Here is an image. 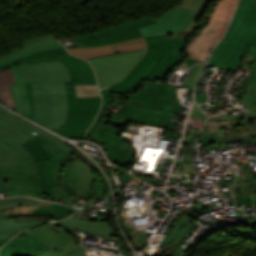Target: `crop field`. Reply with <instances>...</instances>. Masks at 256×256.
Wrapping results in <instances>:
<instances>
[{
    "label": "crop field",
    "instance_id": "crop-field-1",
    "mask_svg": "<svg viewBox=\"0 0 256 256\" xmlns=\"http://www.w3.org/2000/svg\"><path fill=\"white\" fill-rule=\"evenodd\" d=\"M30 66L36 80L30 83L35 105L33 121L48 129L61 128L68 110L65 83H70L69 73L60 61Z\"/></svg>",
    "mask_w": 256,
    "mask_h": 256
},
{
    "label": "crop field",
    "instance_id": "crop-field-2",
    "mask_svg": "<svg viewBox=\"0 0 256 256\" xmlns=\"http://www.w3.org/2000/svg\"><path fill=\"white\" fill-rule=\"evenodd\" d=\"M145 39L147 53L122 82L106 88L109 93L130 95L145 81L162 82L165 74L185 58L183 50L191 38L175 34Z\"/></svg>",
    "mask_w": 256,
    "mask_h": 256
},
{
    "label": "crop field",
    "instance_id": "crop-field-3",
    "mask_svg": "<svg viewBox=\"0 0 256 256\" xmlns=\"http://www.w3.org/2000/svg\"><path fill=\"white\" fill-rule=\"evenodd\" d=\"M223 40L228 42L215 66L235 71L246 45L256 43V0L241 1L240 8Z\"/></svg>",
    "mask_w": 256,
    "mask_h": 256
},
{
    "label": "crop field",
    "instance_id": "crop-field-4",
    "mask_svg": "<svg viewBox=\"0 0 256 256\" xmlns=\"http://www.w3.org/2000/svg\"><path fill=\"white\" fill-rule=\"evenodd\" d=\"M238 0H218L209 15L208 24L192 39L184 52L186 55L206 61L210 50L221 38Z\"/></svg>",
    "mask_w": 256,
    "mask_h": 256
},
{
    "label": "crop field",
    "instance_id": "crop-field-5",
    "mask_svg": "<svg viewBox=\"0 0 256 256\" xmlns=\"http://www.w3.org/2000/svg\"><path fill=\"white\" fill-rule=\"evenodd\" d=\"M69 111L66 122L62 129L52 131L66 138H86L82 134L97 115L101 97L97 98H76L74 85H66Z\"/></svg>",
    "mask_w": 256,
    "mask_h": 256
},
{
    "label": "crop field",
    "instance_id": "crop-field-6",
    "mask_svg": "<svg viewBox=\"0 0 256 256\" xmlns=\"http://www.w3.org/2000/svg\"><path fill=\"white\" fill-rule=\"evenodd\" d=\"M144 51L88 59L96 71L100 89L119 82L142 57Z\"/></svg>",
    "mask_w": 256,
    "mask_h": 256
},
{
    "label": "crop field",
    "instance_id": "crop-field-7",
    "mask_svg": "<svg viewBox=\"0 0 256 256\" xmlns=\"http://www.w3.org/2000/svg\"><path fill=\"white\" fill-rule=\"evenodd\" d=\"M0 177H13L15 185L25 188L32 196L43 198L36 186L32 156L21 155L0 160Z\"/></svg>",
    "mask_w": 256,
    "mask_h": 256
},
{
    "label": "crop field",
    "instance_id": "crop-field-8",
    "mask_svg": "<svg viewBox=\"0 0 256 256\" xmlns=\"http://www.w3.org/2000/svg\"><path fill=\"white\" fill-rule=\"evenodd\" d=\"M38 134H33L32 132ZM44 131L17 116L4 111L0 114V139L9 144L24 156L30 155L19 144L43 133Z\"/></svg>",
    "mask_w": 256,
    "mask_h": 256
},
{
    "label": "crop field",
    "instance_id": "crop-field-9",
    "mask_svg": "<svg viewBox=\"0 0 256 256\" xmlns=\"http://www.w3.org/2000/svg\"><path fill=\"white\" fill-rule=\"evenodd\" d=\"M72 161L65 165L62 176V187L69 196L83 195L87 200L93 199L90 194L93 192L94 177L89 167L72 155Z\"/></svg>",
    "mask_w": 256,
    "mask_h": 256
},
{
    "label": "crop field",
    "instance_id": "crop-field-10",
    "mask_svg": "<svg viewBox=\"0 0 256 256\" xmlns=\"http://www.w3.org/2000/svg\"><path fill=\"white\" fill-rule=\"evenodd\" d=\"M21 146L28 150L36 161V180L39 189L47 192L48 196L56 201L48 183L44 160L62 158L66 157L67 155H65L40 135L21 144Z\"/></svg>",
    "mask_w": 256,
    "mask_h": 256
},
{
    "label": "crop field",
    "instance_id": "crop-field-11",
    "mask_svg": "<svg viewBox=\"0 0 256 256\" xmlns=\"http://www.w3.org/2000/svg\"><path fill=\"white\" fill-rule=\"evenodd\" d=\"M195 12L174 6L165 15L155 19L158 23L139 28L143 37L174 34L188 25Z\"/></svg>",
    "mask_w": 256,
    "mask_h": 256
},
{
    "label": "crop field",
    "instance_id": "crop-field-12",
    "mask_svg": "<svg viewBox=\"0 0 256 256\" xmlns=\"http://www.w3.org/2000/svg\"><path fill=\"white\" fill-rule=\"evenodd\" d=\"M172 115L173 113L142 109L126 104L121 113H117L116 116L113 114L110 124L125 126L127 121H131L167 127Z\"/></svg>",
    "mask_w": 256,
    "mask_h": 256
},
{
    "label": "crop field",
    "instance_id": "crop-field-13",
    "mask_svg": "<svg viewBox=\"0 0 256 256\" xmlns=\"http://www.w3.org/2000/svg\"><path fill=\"white\" fill-rule=\"evenodd\" d=\"M146 49V43L144 39L138 38L131 41L115 44V45H107L101 47H91V48H70L67 49L68 52L75 56L82 57L84 59L112 55L116 53L129 52L135 50Z\"/></svg>",
    "mask_w": 256,
    "mask_h": 256
},
{
    "label": "crop field",
    "instance_id": "crop-field-14",
    "mask_svg": "<svg viewBox=\"0 0 256 256\" xmlns=\"http://www.w3.org/2000/svg\"><path fill=\"white\" fill-rule=\"evenodd\" d=\"M50 249L42 241L26 235V237H14L1 250L0 256H39Z\"/></svg>",
    "mask_w": 256,
    "mask_h": 256
},
{
    "label": "crop field",
    "instance_id": "crop-field-15",
    "mask_svg": "<svg viewBox=\"0 0 256 256\" xmlns=\"http://www.w3.org/2000/svg\"><path fill=\"white\" fill-rule=\"evenodd\" d=\"M72 233V229L78 228L81 233L103 236V239L111 240L114 235V230L110 228L108 221L92 222L72 216L59 223H55ZM73 234V233H72ZM75 236V235H74ZM79 241L81 237L75 236Z\"/></svg>",
    "mask_w": 256,
    "mask_h": 256
},
{
    "label": "crop field",
    "instance_id": "crop-field-16",
    "mask_svg": "<svg viewBox=\"0 0 256 256\" xmlns=\"http://www.w3.org/2000/svg\"><path fill=\"white\" fill-rule=\"evenodd\" d=\"M24 233H29L39 238L51 248L40 256H72L64 244L68 241L47 226L41 225Z\"/></svg>",
    "mask_w": 256,
    "mask_h": 256
},
{
    "label": "crop field",
    "instance_id": "crop-field-17",
    "mask_svg": "<svg viewBox=\"0 0 256 256\" xmlns=\"http://www.w3.org/2000/svg\"><path fill=\"white\" fill-rule=\"evenodd\" d=\"M45 201L27 198L14 197L0 200V218L29 215Z\"/></svg>",
    "mask_w": 256,
    "mask_h": 256
},
{
    "label": "crop field",
    "instance_id": "crop-field-18",
    "mask_svg": "<svg viewBox=\"0 0 256 256\" xmlns=\"http://www.w3.org/2000/svg\"><path fill=\"white\" fill-rule=\"evenodd\" d=\"M18 67L21 71L23 80V83L18 84L22 100L23 116L32 120L34 116V105L29 88V82H35L34 76L26 61L18 64Z\"/></svg>",
    "mask_w": 256,
    "mask_h": 256
},
{
    "label": "crop field",
    "instance_id": "crop-field-19",
    "mask_svg": "<svg viewBox=\"0 0 256 256\" xmlns=\"http://www.w3.org/2000/svg\"><path fill=\"white\" fill-rule=\"evenodd\" d=\"M68 68L71 83L97 84L92 66L84 60L61 61Z\"/></svg>",
    "mask_w": 256,
    "mask_h": 256
},
{
    "label": "crop field",
    "instance_id": "crop-field-20",
    "mask_svg": "<svg viewBox=\"0 0 256 256\" xmlns=\"http://www.w3.org/2000/svg\"><path fill=\"white\" fill-rule=\"evenodd\" d=\"M156 21L149 15L130 21L126 22L117 26H112V27H107L104 29H101L95 33L89 34V35H83V36H78V37H73V40H78V39H95V38H102L106 36H110L113 34L120 33L124 30L135 28V27H142L147 24L155 23Z\"/></svg>",
    "mask_w": 256,
    "mask_h": 256
},
{
    "label": "crop field",
    "instance_id": "crop-field-21",
    "mask_svg": "<svg viewBox=\"0 0 256 256\" xmlns=\"http://www.w3.org/2000/svg\"><path fill=\"white\" fill-rule=\"evenodd\" d=\"M160 85V82H146L138 91L128 97L126 103L152 109L153 94H159Z\"/></svg>",
    "mask_w": 256,
    "mask_h": 256
},
{
    "label": "crop field",
    "instance_id": "crop-field-22",
    "mask_svg": "<svg viewBox=\"0 0 256 256\" xmlns=\"http://www.w3.org/2000/svg\"><path fill=\"white\" fill-rule=\"evenodd\" d=\"M43 222L45 221L34 218H12L0 220V239L14 236L19 232Z\"/></svg>",
    "mask_w": 256,
    "mask_h": 256
},
{
    "label": "crop field",
    "instance_id": "crop-field-23",
    "mask_svg": "<svg viewBox=\"0 0 256 256\" xmlns=\"http://www.w3.org/2000/svg\"><path fill=\"white\" fill-rule=\"evenodd\" d=\"M181 108L175 89L162 84L159 96L154 95L153 109L179 113Z\"/></svg>",
    "mask_w": 256,
    "mask_h": 256
},
{
    "label": "crop field",
    "instance_id": "crop-field-24",
    "mask_svg": "<svg viewBox=\"0 0 256 256\" xmlns=\"http://www.w3.org/2000/svg\"><path fill=\"white\" fill-rule=\"evenodd\" d=\"M197 222L186 217H180L175 224L169 229L167 235L162 239L159 247L164 243L177 246L178 242L182 239L185 233L193 227Z\"/></svg>",
    "mask_w": 256,
    "mask_h": 256
},
{
    "label": "crop field",
    "instance_id": "crop-field-25",
    "mask_svg": "<svg viewBox=\"0 0 256 256\" xmlns=\"http://www.w3.org/2000/svg\"><path fill=\"white\" fill-rule=\"evenodd\" d=\"M210 1L211 0H182L180 2V4L178 5L179 7L197 12L193 20L190 22V24L182 30H188L187 35H193L194 30H196L203 24V22L199 24L195 23L200 19L202 13L206 9Z\"/></svg>",
    "mask_w": 256,
    "mask_h": 256
},
{
    "label": "crop field",
    "instance_id": "crop-field-26",
    "mask_svg": "<svg viewBox=\"0 0 256 256\" xmlns=\"http://www.w3.org/2000/svg\"><path fill=\"white\" fill-rule=\"evenodd\" d=\"M69 157L45 161L46 172L51 187L61 186V175L64 165L69 161Z\"/></svg>",
    "mask_w": 256,
    "mask_h": 256
},
{
    "label": "crop field",
    "instance_id": "crop-field-27",
    "mask_svg": "<svg viewBox=\"0 0 256 256\" xmlns=\"http://www.w3.org/2000/svg\"><path fill=\"white\" fill-rule=\"evenodd\" d=\"M112 158L120 166H125L132 161V151L127 144L105 145Z\"/></svg>",
    "mask_w": 256,
    "mask_h": 256
},
{
    "label": "crop field",
    "instance_id": "crop-field-28",
    "mask_svg": "<svg viewBox=\"0 0 256 256\" xmlns=\"http://www.w3.org/2000/svg\"><path fill=\"white\" fill-rule=\"evenodd\" d=\"M8 83H15L10 68L0 71V100L14 110Z\"/></svg>",
    "mask_w": 256,
    "mask_h": 256
},
{
    "label": "crop field",
    "instance_id": "crop-field-29",
    "mask_svg": "<svg viewBox=\"0 0 256 256\" xmlns=\"http://www.w3.org/2000/svg\"><path fill=\"white\" fill-rule=\"evenodd\" d=\"M109 114H107V116L105 117V119L103 120L98 132L95 135V138L107 143V144H111V143H124L123 141H121L116 133L121 131L120 129L111 127V126H107L105 124L106 119L108 118ZM108 120V119H107ZM107 122V121H106Z\"/></svg>",
    "mask_w": 256,
    "mask_h": 256
},
{
    "label": "crop field",
    "instance_id": "crop-field-30",
    "mask_svg": "<svg viewBox=\"0 0 256 256\" xmlns=\"http://www.w3.org/2000/svg\"><path fill=\"white\" fill-rule=\"evenodd\" d=\"M102 96H103V106L102 109L99 113V115L97 116V118L95 119L94 123L92 124V126L90 127V129L88 130V132L86 133V136L90 137L93 139V134L95 133L97 127L99 126L102 118L104 117L107 109H108V105L111 102H114L116 100L117 95L114 94H109L106 89L101 90Z\"/></svg>",
    "mask_w": 256,
    "mask_h": 256
},
{
    "label": "crop field",
    "instance_id": "crop-field-31",
    "mask_svg": "<svg viewBox=\"0 0 256 256\" xmlns=\"http://www.w3.org/2000/svg\"><path fill=\"white\" fill-rule=\"evenodd\" d=\"M240 100L246 105L251 114L241 115L244 119L256 116V85L246 90L240 97Z\"/></svg>",
    "mask_w": 256,
    "mask_h": 256
},
{
    "label": "crop field",
    "instance_id": "crop-field-32",
    "mask_svg": "<svg viewBox=\"0 0 256 256\" xmlns=\"http://www.w3.org/2000/svg\"><path fill=\"white\" fill-rule=\"evenodd\" d=\"M71 209L73 208L46 202L44 205H42L39 209H37L31 215L47 214V215L58 218L63 214H65L66 212L70 211Z\"/></svg>",
    "mask_w": 256,
    "mask_h": 256
},
{
    "label": "crop field",
    "instance_id": "crop-field-33",
    "mask_svg": "<svg viewBox=\"0 0 256 256\" xmlns=\"http://www.w3.org/2000/svg\"><path fill=\"white\" fill-rule=\"evenodd\" d=\"M57 47H63L60 43H53V44H47V45H40V46H34V47H30V48H27L23 51H20L14 55H11L7 58H4L2 60H0V65L1 64H4L6 62H9L11 60H14L16 58H19L21 56H24V55H27L29 53H32L34 51H37V50H41V49H47V48H57Z\"/></svg>",
    "mask_w": 256,
    "mask_h": 256
},
{
    "label": "crop field",
    "instance_id": "crop-field-34",
    "mask_svg": "<svg viewBox=\"0 0 256 256\" xmlns=\"http://www.w3.org/2000/svg\"><path fill=\"white\" fill-rule=\"evenodd\" d=\"M43 54H69L66 52V49L65 48H58V49H48V50H42V51H38V52H34L32 54H29L27 56H24V57H21L19 59H16L14 61H11L9 63H6L4 65H1L0 66V70L8 67V66H11L13 64H17L23 60H27L31 57H34V56H38V55H43Z\"/></svg>",
    "mask_w": 256,
    "mask_h": 256
},
{
    "label": "crop field",
    "instance_id": "crop-field-35",
    "mask_svg": "<svg viewBox=\"0 0 256 256\" xmlns=\"http://www.w3.org/2000/svg\"><path fill=\"white\" fill-rule=\"evenodd\" d=\"M141 36L142 35H141L139 29L136 28V29L124 31V32L114 35V36L107 37L106 40H107L108 44H114V43L134 39V38L141 37Z\"/></svg>",
    "mask_w": 256,
    "mask_h": 256
},
{
    "label": "crop field",
    "instance_id": "crop-field-36",
    "mask_svg": "<svg viewBox=\"0 0 256 256\" xmlns=\"http://www.w3.org/2000/svg\"><path fill=\"white\" fill-rule=\"evenodd\" d=\"M53 42H58L52 35H45V36H40V37H36V38H33L29 41H26L24 43H21V45L23 47L15 50L14 52L12 53H9L7 55H4V56H1L0 59L4 58V57H7L13 53H16L26 47H29V46H33V45H39V44H47V43H53Z\"/></svg>",
    "mask_w": 256,
    "mask_h": 256
},
{
    "label": "crop field",
    "instance_id": "crop-field-37",
    "mask_svg": "<svg viewBox=\"0 0 256 256\" xmlns=\"http://www.w3.org/2000/svg\"><path fill=\"white\" fill-rule=\"evenodd\" d=\"M76 97H97L100 96L97 86L75 85Z\"/></svg>",
    "mask_w": 256,
    "mask_h": 256
},
{
    "label": "crop field",
    "instance_id": "crop-field-38",
    "mask_svg": "<svg viewBox=\"0 0 256 256\" xmlns=\"http://www.w3.org/2000/svg\"><path fill=\"white\" fill-rule=\"evenodd\" d=\"M253 134L254 133L249 132L247 130H244L240 133L231 131L222 142L233 143L234 141H240V142L245 143V142L253 140V138L250 137Z\"/></svg>",
    "mask_w": 256,
    "mask_h": 256
},
{
    "label": "crop field",
    "instance_id": "crop-field-39",
    "mask_svg": "<svg viewBox=\"0 0 256 256\" xmlns=\"http://www.w3.org/2000/svg\"><path fill=\"white\" fill-rule=\"evenodd\" d=\"M45 225L49 226L50 228H53L56 232H58L59 234L64 236L70 242L73 250L76 252V254L78 256H86L83 248L81 246L77 245L76 242L73 240V238L66 231H64L63 229H61L51 223H47Z\"/></svg>",
    "mask_w": 256,
    "mask_h": 256
},
{
    "label": "crop field",
    "instance_id": "crop-field-40",
    "mask_svg": "<svg viewBox=\"0 0 256 256\" xmlns=\"http://www.w3.org/2000/svg\"><path fill=\"white\" fill-rule=\"evenodd\" d=\"M75 59H79V58H76L72 55H44V56L31 58L27 61L29 64H31V63L43 62L47 60H75Z\"/></svg>",
    "mask_w": 256,
    "mask_h": 256
},
{
    "label": "crop field",
    "instance_id": "crop-field-41",
    "mask_svg": "<svg viewBox=\"0 0 256 256\" xmlns=\"http://www.w3.org/2000/svg\"><path fill=\"white\" fill-rule=\"evenodd\" d=\"M44 138H46L48 141H50L52 144H54L57 148H59L61 151H63L68 156L75 154L76 151L65 144H63L61 141L50 135L49 133L45 132L42 134Z\"/></svg>",
    "mask_w": 256,
    "mask_h": 256
},
{
    "label": "crop field",
    "instance_id": "crop-field-42",
    "mask_svg": "<svg viewBox=\"0 0 256 256\" xmlns=\"http://www.w3.org/2000/svg\"><path fill=\"white\" fill-rule=\"evenodd\" d=\"M13 189H16L21 195H30L26 190L14 186L12 178H0V192Z\"/></svg>",
    "mask_w": 256,
    "mask_h": 256
},
{
    "label": "crop field",
    "instance_id": "crop-field-43",
    "mask_svg": "<svg viewBox=\"0 0 256 256\" xmlns=\"http://www.w3.org/2000/svg\"><path fill=\"white\" fill-rule=\"evenodd\" d=\"M247 54L256 55V44L252 45L248 50ZM254 65L250 71V74L247 79V87L256 83V56L253 60Z\"/></svg>",
    "mask_w": 256,
    "mask_h": 256
},
{
    "label": "crop field",
    "instance_id": "crop-field-44",
    "mask_svg": "<svg viewBox=\"0 0 256 256\" xmlns=\"http://www.w3.org/2000/svg\"><path fill=\"white\" fill-rule=\"evenodd\" d=\"M232 188L236 196L256 192L254 183L234 185Z\"/></svg>",
    "mask_w": 256,
    "mask_h": 256
},
{
    "label": "crop field",
    "instance_id": "crop-field-45",
    "mask_svg": "<svg viewBox=\"0 0 256 256\" xmlns=\"http://www.w3.org/2000/svg\"><path fill=\"white\" fill-rule=\"evenodd\" d=\"M16 155H20V153L0 140V159Z\"/></svg>",
    "mask_w": 256,
    "mask_h": 256
},
{
    "label": "crop field",
    "instance_id": "crop-field-46",
    "mask_svg": "<svg viewBox=\"0 0 256 256\" xmlns=\"http://www.w3.org/2000/svg\"><path fill=\"white\" fill-rule=\"evenodd\" d=\"M9 85H10V89H11V93H12V97H13L16 112L22 114V108H21V101H20V94H19L18 86H17V84H9Z\"/></svg>",
    "mask_w": 256,
    "mask_h": 256
},
{
    "label": "crop field",
    "instance_id": "crop-field-47",
    "mask_svg": "<svg viewBox=\"0 0 256 256\" xmlns=\"http://www.w3.org/2000/svg\"><path fill=\"white\" fill-rule=\"evenodd\" d=\"M74 44L81 47H91V46L106 45L107 42L105 38H102V39H96V40H79V41H76V43Z\"/></svg>",
    "mask_w": 256,
    "mask_h": 256
},
{
    "label": "crop field",
    "instance_id": "crop-field-48",
    "mask_svg": "<svg viewBox=\"0 0 256 256\" xmlns=\"http://www.w3.org/2000/svg\"><path fill=\"white\" fill-rule=\"evenodd\" d=\"M221 137L217 135L215 132L203 137L200 141L204 142L201 148H207L209 147L210 143L217 142L219 143L221 141Z\"/></svg>",
    "mask_w": 256,
    "mask_h": 256
},
{
    "label": "crop field",
    "instance_id": "crop-field-49",
    "mask_svg": "<svg viewBox=\"0 0 256 256\" xmlns=\"http://www.w3.org/2000/svg\"><path fill=\"white\" fill-rule=\"evenodd\" d=\"M203 67H204L203 64L198 65V67L195 69L193 74L190 76L185 88H188L189 90H193V86L195 84V81H196L197 77L200 75Z\"/></svg>",
    "mask_w": 256,
    "mask_h": 256
},
{
    "label": "crop field",
    "instance_id": "crop-field-50",
    "mask_svg": "<svg viewBox=\"0 0 256 256\" xmlns=\"http://www.w3.org/2000/svg\"><path fill=\"white\" fill-rule=\"evenodd\" d=\"M222 128H224V127H222V126L220 125L219 121H218V122H215V123H213V124H211V125H209V126H207V127H205V128L203 129V131H202V134H201L199 140H200L203 136H205V135H207V134H209V133H211V132H213V131L222 129ZM199 140H198V141H199Z\"/></svg>",
    "mask_w": 256,
    "mask_h": 256
},
{
    "label": "crop field",
    "instance_id": "crop-field-51",
    "mask_svg": "<svg viewBox=\"0 0 256 256\" xmlns=\"http://www.w3.org/2000/svg\"><path fill=\"white\" fill-rule=\"evenodd\" d=\"M225 43H226V41H223L219 44V46L214 51V54H213L209 64L214 65L215 61L217 60V58L219 57V55L223 49Z\"/></svg>",
    "mask_w": 256,
    "mask_h": 256
},
{
    "label": "crop field",
    "instance_id": "crop-field-52",
    "mask_svg": "<svg viewBox=\"0 0 256 256\" xmlns=\"http://www.w3.org/2000/svg\"><path fill=\"white\" fill-rule=\"evenodd\" d=\"M191 117L197 118V119H205V116L202 114V112L199 110V108L196 106V104L193 105Z\"/></svg>",
    "mask_w": 256,
    "mask_h": 256
},
{
    "label": "crop field",
    "instance_id": "crop-field-53",
    "mask_svg": "<svg viewBox=\"0 0 256 256\" xmlns=\"http://www.w3.org/2000/svg\"><path fill=\"white\" fill-rule=\"evenodd\" d=\"M221 125L228 128L229 130L240 125L241 121H220Z\"/></svg>",
    "mask_w": 256,
    "mask_h": 256
},
{
    "label": "crop field",
    "instance_id": "crop-field-54",
    "mask_svg": "<svg viewBox=\"0 0 256 256\" xmlns=\"http://www.w3.org/2000/svg\"><path fill=\"white\" fill-rule=\"evenodd\" d=\"M236 204L253 205L248 195L237 197Z\"/></svg>",
    "mask_w": 256,
    "mask_h": 256
},
{
    "label": "crop field",
    "instance_id": "crop-field-55",
    "mask_svg": "<svg viewBox=\"0 0 256 256\" xmlns=\"http://www.w3.org/2000/svg\"><path fill=\"white\" fill-rule=\"evenodd\" d=\"M208 120H234V117L233 115L230 116L229 113H227L219 116L209 117Z\"/></svg>",
    "mask_w": 256,
    "mask_h": 256
},
{
    "label": "crop field",
    "instance_id": "crop-field-56",
    "mask_svg": "<svg viewBox=\"0 0 256 256\" xmlns=\"http://www.w3.org/2000/svg\"><path fill=\"white\" fill-rule=\"evenodd\" d=\"M11 69H12L13 74H14L15 82H16V83L22 82V80H21V75H20V72H19V70H18V68H17V65L11 66Z\"/></svg>",
    "mask_w": 256,
    "mask_h": 256
},
{
    "label": "crop field",
    "instance_id": "crop-field-57",
    "mask_svg": "<svg viewBox=\"0 0 256 256\" xmlns=\"http://www.w3.org/2000/svg\"><path fill=\"white\" fill-rule=\"evenodd\" d=\"M187 174L196 175L197 171L193 170V165H187Z\"/></svg>",
    "mask_w": 256,
    "mask_h": 256
},
{
    "label": "crop field",
    "instance_id": "crop-field-58",
    "mask_svg": "<svg viewBox=\"0 0 256 256\" xmlns=\"http://www.w3.org/2000/svg\"><path fill=\"white\" fill-rule=\"evenodd\" d=\"M192 148H193V147H189V146H185V145H183V147H182V148H180V150H179V151H181V152H185V153H190V152H191V150H192Z\"/></svg>",
    "mask_w": 256,
    "mask_h": 256
},
{
    "label": "crop field",
    "instance_id": "crop-field-59",
    "mask_svg": "<svg viewBox=\"0 0 256 256\" xmlns=\"http://www.w3.org/2000/svg\"><path fill=\"white\" fill-rule=\"evenodd\" d=\"M197 133H198V131H193L192 133H190V135L187 137V139L195 141Z\"/></svg>",
    "mask_w": 256,
    "mask_h": 256
},
{
    "label": "crop field",
    "instance_id": "crop-field-60",
    "mask_svg": "<svg viewBox=\"0 0 256 256\" xmlns=\"http://www.w3.org/2000/svg\"><path fill=\"white\" fill-rule=\"evenodd\" d=\"M194 142L193 141H188V140H184L182 141V144H185V145H189V146H192Z\"/></svg>",
    "mask_w": 256,
    "mask_h": 256
},
{
    "label": "crop field",
    "instance_id": "crop-field-61",
    "mask_svg": "<svg viewBox=\"0 0 256 256\" xmlns=\"http://www.w3.org/2000/svg\"><path fill=\"white\" fill-rule=\"evenodd\" d=\"M12 238V237H11ZM11 238L0 240V247L3 246L6 242H8Z\"/></svg>",
    "mask_w": 256,
    "mask_h": 256
},
{
    "label": "crop field",
    "instance_id": "crop-field-62",
    "mask_svg": "<svg viewBox=\"0 0 256 256\" xmlns=\"http://www.w3.org/2000/svg\"><path fill=\"white\" fill-rule=\"evenodd\" d=\"M172 126H173V124H172V123H170V124H169V126H168V129H167L166 134H165V136H164V137H166V136H167V134L169 133V131H170V129L172 128ZM167 137H168V136H167Z\"/></svg>",
    "mask_w": 256,
    "mask_h": 256
},
{
    "label": "crop field",
    "instance_id": "crop-field-63",
    "mask_svg": "<svg viewBox=\"0 0 256 256\" xmlns=\"http://www.w3.org/2000/svg\"><path fill=\"white\" fill-rule=\"evenodd\" d=\"M66 246L69 248V250L71 251V253L73 254V256H77L74 251L72 250V248L70 247V244L67 243Z\"/></svg>",
    "mask_w": 256,
    "mask_h": 256
},
{
    "label": "crop field",
    "instance_id": "crop-field-64",
    "mask_svg": "<svg viewBox=\"0 0 256 256\" xmlns=\"http://www.w3.org/2000/svg\"><path fill=\"white\" fill-rule=\"evenodd\" d=\"M84 202H86V203H88V204L94 206V203H93V202H96V201H95V200H90V201H86V200H85Z\"/></svg>",
    "mask_w": 256,
    "mask_h": 256
},
{
    "label": "crop field",
    "instance_id": "crop-field-65",
    "mask_svg": "<svg viewBox=\"0 0 256 256\" xmlns=\"http://www.w3.org/2000/svg\"><path fill=\"white\" fill-rule=\"evenodd\" d=\"M120 252H121L122 254L130 255V253H129V252H127V251H125L124 249H120Z\"/></svg>",
    "mask_w": 256,
    "mask_h": 256
},
{
    "label": "crop field",
    "instance_id": "crop-field-66",
    "mask_svg": "<svg viewBox=\"0 0 256 256\" xmlns=\"http://www.w3.org/2000/svg\"><path fill=\"white\" fill-rule=\"evenodd\" d=\"M246 144H253V145H255V146H256V140L251 141V142H248V143H246ZM246 144H244V145H246Z\"/></svg>",
    "mask_w": 256,
    "mask_h": 256
},
{
    "label": "crop field",
    "instance_id": "crop-field-67",
    "mask_svg": "<svg viewBox=\"0 0 256 256\" xmlns=\"http://www.w3.org/2000/svg\"><path fill=\"white\" fill-rule=\"evenodd\" d=\"M174 256H181V252H175Z\"/></svg>",
    "mask_w": 256,
    "mask_h": 256
},
{
    "label": "crop field",
    "instance_id": "crop-field-68",
    "mask_svg": "<svg viewBox=\"0 0 256 256\" xmlns=\"http://www.w3.org/2000/svg\"><path fill=\"white\" fill-rule=\"evenodd\" d=\"M213 122H215V121H207V123H206L205 126H207V125H209V124H211V123H213Z\"/></svg>",
    "mask_w": 256,
    "mask_h": 256
},
{
    "label": "crop field",
    "instance_id": "crop-field-69",
    "mask_svg": "<svg viewBox=\"0 0 256 256\" xmlns=\"http://www.w3.org/2000/svg\"><path fill=\"white\" fill-rule=\"evenodd\" d=\"M169 135H170V134H169ZM170 136H173V135H170ZM179 136H180V135L175 134V136H173V137H178V138H179Z\"/></svg>",
    "mask_w": 256,
    "mask_h": 256
},
{
    "label": "crop field",
    "instance_id": "crop-field-70",
    "mask_svg": "<svg viewBox=\"0 0 256 256\" xmlns=\"http://www.w3.org/2000/svg\"><path fill=\"white\" fill-rule=\"evenodd\" d=\"M4 109L0 108V113L3 111Z\"/></svg>",
    "mask_w": 256,
    "mask_h": 256
}]
</instances>
